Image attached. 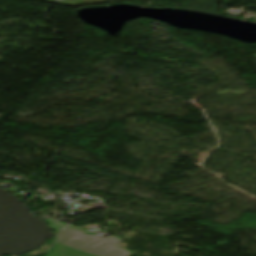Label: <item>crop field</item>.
Segmentation results:
<instances>
[{
	"label": "crop field",
	"mask_w": 256,
	"mask_h": 256,
	"mask_svg": "<svg viewBox=\"0 0 256 256\" xmlns=\"http://www.w3.org/2000/svg\"><path fill=\"white\" fill-rule=\"evenodd\" d=\"M76 234L79 236H75ZM58 241L76 250L98 256H129L127 252L116 247V239H105L78 231L64 230L59 235Z\"/></svg>",
	"instance_id": "1"
},
{
	"label": "crop field",
	"mask_w": 256,
	"mask_h": 256,
	"mask_svg": "<svg viewBox=\"0 0 256 256\" xmlns=\"http://www.w3.org/2000/svg\"><path fill=\"white\" fill-rule=\"evenodd\" d=\"M47 256H94V255L79 252L57 243V245L49 251Z\"/></svg>",
	"instance_id": "2"
}]
</instances>
